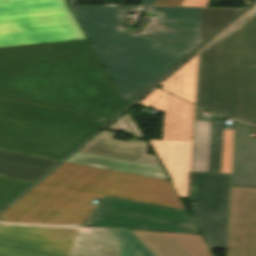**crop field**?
Segmentation results:
<instances>
[{"mask_svg":"<svg viewBox=\"0 0 256 256\" xmlns=\"http://www.w3.org/2000/svg\"><path fill=\"white\" fill-rule=\"evenodd\" d=\"M0 99L108 118L124 106L87 40L0 48Z\"/></svg>","mask_w":256,"mask_h":256,"instance_id":"obj_1","label":"crop field"},{"mask_svg":"<svg viewBox=\"0 0 256 256\" xmlns=\"http://www.w3.org/2000/svg\"><path fill=\"white\" fill-rule=\"evenodd\" d=\"M104 195L185 210L170 181L63 162L0 220L81 225Z\"/></svg>","mask_w":256,"mask_h":256,"instance_id":"obj_2","label":"crop field"},{"mask_svg":"<svg viewBox=\"0 0 256 256\" xmlns=\"http://www.w3.org/2000/svg\"><path fill=\"white\" fill-rule=\"evenodd\" d=\"M197 105L256 125V8L200 51Z\"/></svg>","mask_w":256,"mask_h":256,"instance_id":"obj_3","label":"crop field"},{"mask_svg":"<svg viewBox=\"0 0 256 256\" xmlns=\"http://www.w3.org/2000/svg\"><path fill=\"white\" fill-rule=\"evenodd\" d=\"M96 117L0 100V149L59 159L101 125Z\"/></svg>","mask_w":256,"mask_h":256,"instance_id":"obj_4","label":"crop field"},{"mask_svg":"<svg viewBox=\"0 0 256 256\" xmlns=\"http://www.w3.org/2000/svg\"><path fill=\"white\" fill-rule=\"evenodd\" d=\"M0 256H120L109 229L0 222Z\"/></svg>","mask_w":256,"mask_h":256,"instance_id":"obj_5","label":"crop field"},{"mask_svg":"<svg viewBox=\"0 0 256 256\" xmlns=\"http://www.w3.org/2000/svg\"><path fill=\"white\" fill-rule=\"evenodd\" d=\"M132 27L111 31L93 44L124 102L186 56L132 35L138 30Z\"/></svg>","mask_w":256,"mask_h":256,"instance_id":"obj_6","label":"crop field"},{"mask_svg":"<svg viewBox=\"0 0 256 256\" xmlns=\"http://www.w3.org/2000/svg\"><path fill=\"white\" fill-rule=\"evenodd\" d=\"M85 39L64 0H0V47Z\"/></svg>","mask_w":256,"mask_h":256,"instance_id":"obj_7","label":"crop field"},{"mask_svg":"<svg viewBox=\"0 0 256 256\" xmlns=\"http://www.w3.org/2000/svg\"><path fill=\"white\" fill-rule=\"evenodd\" d=\"M164 111L162 141H148L171 178L180 197L189 196L193 106L154 89L140 101Z\"/></svg>","mask_w":256,"mask_h":256,"instance_id":"obj_8","label":"crop field"},{"mask_svg":"<svg viewBox=\"0 0 256 256\" xmlns=\"http://www.w3.org/2000/svg\"><path fill=\"white\" fill-rule=\"evenodd\" d=\"M88 226L199 234L187 212L104 196Z\"/></svg>","mask_w":256,"mask_h":256,"instance_id":"obj_9","label":"crop field"},{"mask_svg":"<svg viewBox=\"0 0 256 256\" xmlns=\"http://www.w3.org/2000/svg\"><path fill=\"white\" fill-rule=\"evenodd\" d=\"M230 174L193 173L192 217L209 248L226 249Z\"/></svg>","mask_w":256,"mask_h":256,"instance_id":"obj_10","label":"crop field"},{"mask_svg":"<svg viewBox=\"0 0 256 256\" xmlns=\"http://www.w3.org/2000/svg\"><path fill=\"white\" fill-rule=\"evenodd\" d=\"M227 256H256V188L231 186Z\"/></svg>","mask_w":256,"mask_h":256,"instance_id":"obj_11","label":"crop field"},{"mask_svg":"<svg viewBox=\"0 0 256 256\" xmlns=\"http://www.w3.org/2000/svg\"><path fill=\"white\" fill-rule=\"evenodd\" d=\"M144 14L152 21L137 36L186 54L198 46L200 19L162 18L158 13Z\"/></svg>","mask_w":256,"mask_h":256,"instance_id":"obj_12","label":"crop field"},{"mask_svg":"<svg viewBox=\"0 0 256 256\" xmlns=\"http://www.w3.org/2000/svg\"><path fill=\"white\" fill-rule=\"evenodd\" d=\"M155 256H212L201 235L130 230Z\"/></svg>","mask_w":256,"mask_h":256,"instance_id":"obj_13","label":"crop field"},{"mask_svg":"<svg viewBox=\"0 0 256 256\" xmlns=\"http://www.w3.org/2000/svg\"><path fill=\"white\" fill-rule=\"evenodd\" d=\"M223 121H196L193 171L220 172Z\"/></svg>","mask_w":256,"mask_h":256,"instance_id":"obj_14","label":"crop field"},{"mask_svg":"<svg viewBox=\"0 0 256 256\" xmlns=\"http://www.w3.org/2000/svg\"><path fill=\"white\" fill-rule=\"evenodd\" d=\"M115 135L117 134L102 131L79 152L161 167L155 155L147 154L148 146L145 141L130 139L124 142L112 139Z\"/></svg>","mask_w":256,"mask_h":256,"instance_id":"obj_15","label":"crop field"},{"mask_svg":"<svg viewBox=\"0 0 256 256\" xmlns=\"http://www.w3.org/2000/svg\"><path fill=\"white\" fill-rule=\"evenodd\" d=\"M248 132V125L235 121L231 185L256 187V138Z\"/></svg>","mask_w":256,"mask_h":256,"instance_id":"obj_16","label":"crop field"},{"mask_svg":"<svg viewBox=\"0 0 256 256\" xmlns=\"http://www.w3.org/2000/svg\"><path fill=\"white\" fill-rule=\"evenodd\" d=\"M73 9H79L92 13L87 19H78L91 43L96 42L106 33L114 30L125 21L121 20L126 10H137L138 7L126 6H71Z\"/></svg>","mask_w":256,"mask_h":256,"instance_id":"obj_17","label":"crop field"},{"mask_svg":"<svg viewBox=\"0 0 256 256\" xmlns=\"http://www.w3.org/2000/svg\"><path fill=\"white\" fill-rule=\"evenodd\" d=\"M55 160L0 151V173L5 177L32 182Z\"/></svg>","mask_w":256,"mask_h":256,"instance_id":"obj_18","label":"crop field"},{"mask_svg":"<svg viewBox=\"0 0 256 256\" xmlns=\"http://www.w3.org/2000/svg\"><path fill=\"white\" fill-rule=\"evenodd\" d=\"M66 161L168 180L162 168L90 154L76 152Z\"/></svg>","mask_w":256,"mask_h":256,"instance_id":"obj_19","label":"crop field"},{"mask_svg":"<svg viewBox=\"0 0 256 256\" xmlns=\"http://www.w3.org/2000/svg\"><path fill=\"white\" fill-rule=\"evenodd\" d=\"M197 55L163 82L162 89L194 104Z\"/></svg>","mask_w":256,"mask_h":256,"instance_id":"obj_20","label":"crop field"},{"mask_svg":"<svg viewBox=\"0 0 256 256\" xmlns=\"http://www.w3.org/2000/svg\"><path fill=\"white\" fill-rule=\"evenodd\" d=\"M243 8H201L199 44Z\"/></svg>","mask_w":256,"mask_h":256,"instance_id":"obj_21","label":"crop field"},{"mask_svg":"<svg viewBox=\"0 0 256 256\" xmlns=\"http://www.w3.org/2000/svg\"><path fill=\"white\" fill-rule=\"evenodd\" d=\"M110 230L120 241L121 256H154L129 230Z\"/></svg>","mask_w":256,"mask_h":256,"instance_id":"obj_22","label":"crop field"},{"mask_svg":"<svg viewBox=\"0 0 256 256\" xmlns=\"http://www.w3.org/2000/svg\"><path fill=\"white\" fill-rule=\"evenodd\" d=\"M144 12H158L162 17L200 18V8L190 7H142Z\"/></svg>","mask_w":256,"mask_h":256,"instance_id":"obj_23","label":"crop field"},{"mask_svg":"<svg viewBox=\"0 0 256 256\" xmlns=\"http://www.w3.org/2000/svg\"><path fill=\"white\" fill-rule=\"evenodd\" d=\"M28 184L30 183L0 177V208Z\"/></svg>","mask_w":256,"mask_h":256,"instance_id":"obj_24","label":"crop field"},{"mask_svg":"<svg viewBox=\"0 0 256 256\" xmlns=\"http://www.w3.org/2000/svg\"><path fill=\"white\" fill-rule=\"evenodd\" d=\"M109 129L128 131L133 136L143 138L129 111L112 124Z\"/></svg>","mask_w":256,"mask_h":256,"instance_id":"obj_25","label":"crop field"},{"mask_svg":"<svg viewBox=\"0 0 256 256\" xmlns=\"http://www.w3.org/2000/svg\"><path fill=\"white\" fill-rule=\"evenodd\" d=\"M233 131H224L221 173H230L232 158Z\"/></svg>","mask_w":256,"mask_h":256,"instance_id":"obj_26","label":"crop field"},{"mask_svg":"<svg viewBox=\"0 0 256 256\" xmlns=\"http://www.w3.org/2000/svg\"><path fill=\"white\" fill-rule=\"evenodd\" d=\"M183 0H156L153 6H180Z\"/></svg>","mask_w":256,"mask_h":256,"instance_id":"obj_27","label":"crop field"},{"mask_svg":"<svg viewBox=\"0 0 256 256\" xmlns=\"http://www.w3.org/2000/svg\"><path fill=\"white\" fill-rule=\"evenodd\" d=\"M209 0H184L182 6L206 7Z\"/></svg>","mask_w":256,"mask_h":256,"instance_id":"obj_28","label":"crop field"},{"mask_svg":"<svg viewBox=\"0 0 256 256\" xmlns=\"http://www.w3.org/2000/svg\"><path fill=\"white\" fill-rule=\"evenodd\" d=\"M73 10V9H72ZM77 18H87L90 16V14L78 10H73Z\"/></svg>","mask_w":256,"mask_h":256,"instance_id":"obj_29","label":"crop field"},{"mask_svg":"<svg viewBox=\"0 0 256 256\" xmlns=\"http://www.w3.org/2000/svg\"><path fill=\"white\" fill-rule=\"evenodd\" d=\"M155 0H145L142 6H152Z\"/></svg>","mask_w":256,"mask_h":256,"instance_id":"obj_30","label":"crop field"}]
</instances>
